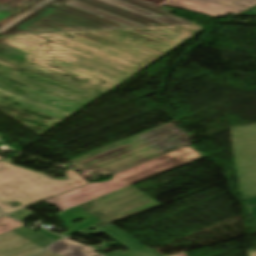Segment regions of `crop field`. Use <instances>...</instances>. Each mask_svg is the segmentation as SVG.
I'll list each match as a JSON object with an SVG mask.
<instances>
[{"label": "crop field", "instance_id": "crop-field-1", "mask_svg": "<svg viewBox=\"0 0 256 256\" xmlns=\"http://www.w3.org/2000/svg\"><path fill=\"white\" fill-rule=\"evenodd\" d=\"M201 30L185 25L0 36L1 65L86 95L0 66V92L16 98L0 95L9 100L0 99V111L41 135Z\"/></svg>", "mask_w": 256, "mask_h": 256}, {"label": "crop field", "instance_id": "crop-field-2", "mask_svg": "<svg viewBox=\"0 0 256 256\" xmlns=\"http://www.w3.org/2000/svg\"><path fill=\"white\" fill-rule=\"evenodd\" d=\"M64 1L65 0L50 1L0 35L127 28L117 23L85 13L73 7L65 6L62 4ZM78 1L100 8L119 17L138 22L148 27L165 26V24L151 20L128 10L114 7L99 0ZM123 1L145 8L163 16H166L172 12V10L163 7L156 10L132 0Z\"/></svg>", "mask_w": 256, "mask_h": 256}, {"label": "crop field", "instance_id": "crop-field-3", "mask_svg": "<svg viewBox=\"0 0 256 256\" xmlns=\"http://www.w3.org/2000/svg\"><path fill=\"white\" fill-rule=\"evenodd\" d=\"M188 144L185 132L174 124H165L105 147L114 155L79 168L85 171L113 173Z\"/></svg>", "mask_w": 256, "mask_h": 256}, {"label": "crop field", "instance_id": "crop-field-4", "mask_svg": "<svg viewBox=\"0 0 256 256\" xmlns=\"http://www.w3.org/2000/svg\"><path fill=\"white\" fill-rule=\"evenodd\" d=\"M68 180H54L44 174L0 162V207L6 213L41 201L87 183L75 170L66 172ZM22 205L11 207L8 202Z\"/></svg>", "mask_w": 256, "mask_h": 256}, {"label": "crop field", "instance_id": "crop-field-5", "mask_svg": "<svg viewBox=\"0 0 256 256\" xmlns=\"http://www.w3.org/2000/svg\"><path fill=\"white\" fill-rule=\"evenodd\" d=\"M200 157H203V155L199 154L190 146H188L134 168L114 174V179L112 181L105 183L93 182L43 202L50 205H55L61 211H63L81 203L130 186Z\"/></svg>", "mask_w": 256, "mask_h": 256}, {"label": "crop field", "instance_id": "crop-field-6", "mask_svg": "<svg viewBox=\"0 0 256 256\" xmlns=\"http://www.w3.org/2000/svg\"><path fill=\"white\" fill-rule=\"evenodd\" d=\"M143 194L130 186L56 214L67 227L66 232L61 235L69 236L90 225L98 229L109 223L159 206ZM81 218H84L85 221L74 225L70 224L72 220Z\"/></svg>", "mask_w": 256, "mask_h": 256}, {"label": "crop field", "instance_id": "crop-field-7", "mask_svg": "<svg viewBox=\"0 0 256 256\" xmlns=\"http://www.w3.org/2000/svg\"><path fill=\"white\" fill-rule=\"evenodd\" d=\"M239 195H256V124L230 127Z\"/></svg>", "mask_w": 256, "mask_h": 256}, {"label": "crop field", "instance_id": "crop-field-8", "mask_svg": "<svg viewBox=\"0 0 256 256\" xmlns=\"http://www.w3.org/2000/svg\"><path fill=\"white\" fill-rule=\"evenodd\" d=\"M165 5L219 17L238 13L256 4V0H168Z\"/></svg>", "mask_w": 256, "mask_h": 256}, {"label": "crop field", "instance_id": "crop-field-9", "mask_svg": "<svg viewBox=\"0 0 256 256\" xmlns=\"http://www.w3.org/2000/svg\"><path fill=\"white\" fill-rule=\"evenodd\" d=\"M41 250L12 231L0 235V256H28Z\"/></svg>", "mask_w": 256, "mask_h": 256}, {"label": "crop field", "instance_id": "crop-field-10", "mask_svg": "<svg viewBox=\"0 0 256 256\" xmlns=\"http://www.w3.org/2000/svg\"><path fill=\"white\" fill-rule=\"evenodd\" d=\"M43 0H0V28Z\"/></svg>", "mask_w": 256, "mask_h": 256}, {"label": "crop field", "instance_id": "crop-field-11", "mask_svg": "<svg viewBox=\"0 0 256 256\" xmlns=\"http://www.w3.org/2000/svg\"><path fill=\"white\" fill-rule=\"evenodd\" d=\"M46 250L63 256H101L100 254L94 252L95 249L70 241L69 238L51 245ZM59 251H61V253H58Z\"/></svg>", "mask_w": 256, "mask_h": 256}, {"label": "crop field", "instance_id": "crop-field-12", "mask_svg": "<svg viewBox=\"0 0 256 256\" xmlns=\"http://www.w3.org/2000/svg\"><path fill=\"white\" fill-rule=\"evenodd\" d=\"M101 1L107 2V3L112 4L114 6H118V7L128 9L130 11L136 12L138 14L144 15L146 17L152 18L154 20H157L159 22L166 23V24H169V25L195 24V23L189 22L187 20L181 19L179 17L173 16L171 14H169L166 17H163V16L158 17V16L154 15L155 13H153V12L147 11L145 9L139 8L137 6L128 4V3L120 1V0H101Z\"/></svg>", "mask_w": 256, "mask_h": 256}, {"label": "crop field", "instance_id": "crop-field-13", "mask_svg": "<svg viewBox=\"0 0 256 256\" xmlns=\"http://www.w3.org/2000/svg\"><path fill=\"white\" fill-rule=\"evenodd\" d=\"M63 4L73 6V7H75V8L80 9V10H83V11H85V12H88V13H91V14H94V15H97V16H100V17H102V18H105V19H108V20H111V21L120 23V24L125 25V26H128V27H130V28L146 27V26L140 25V24H138V23H135V22H132V21H128V20L119 18V17L114 16V15H112V14H109V13H107V12H105V11H102V10H100V9L91 7V6H89V5H86V4L77 2V1H75V0H67V1H65Z\"/></svg>", "mask_w": 256, "mask_h": 256}, {"label": "crop field", "instance_id": "crop-field-14", "mask_svg": "<svg viewBox=\"0 0 256 256\" xmlns=\"http://www.w3.org/2000/svg\"><path fill=\"white\" fill-rule=\"evenodd\" d=\"M109 155H112L110 152H108L106 149L102 148V149H98L96 151L90 152L88 154H85L83 156H80L78 158L72 159L70 160V162L76 166H82L84 164L93 162L95 160L107 157Z\"/></svg>", "mask_w": 256, "mask_h": 256}, {"label": "crop field", "instance_id": "crop-field-15", "mask_svg": "<svg viewBox=\"0 0 256 256\" xmlns=\"http://www.w3.org/2000/svg\"><path fill=\"white\" fill-rule=\"evenodd\" d=\"M25 225L17 220L9 218L7 216L0 218V234L9 230H13L19 226Z\"/></svg>", "mask_w": 256, "mask_h": 256}, {"label": "crop field", "instance_id": "crop-field-16", "mask_svg": "<svg viewBox=\"0 0 256 256\" xmlns=\"http://www.w3.org/2000/svg\"><path fill=\"white\" fill-rule=\"evenodd\" d=\"M50 0H44L43 2H41L40 4H38L37 6H35L34 8L30 9L29 11H27L26 13H24L23 15H21L20 17H18L17 19L13 20L12 22H10L9 24H7L5 27H3L2 29H0V33H2L4 30H6L7 28H9L10 26H12L13 24L17 23L18 21H20L21 19H23L24 17H26L27 15H29L30 13H32L33 11L37 10L38 8H40L41 6H43L44 4H46L47 2H49Z\"/></svg>", "mask_w": 256, "mask_h": 256}, {"label": "crop field", "instance_id": "crop-field-17", "mask_svg": "<svg viewBox=\"0 0 256 256\" xmlns=\"http://www.w3.org/2000/svg\"><path fill=\"white\" fill-rule=\"evenodd\" d=\"M32 214H34V213H32L26 209H23V210L15 212V213L9 214V216L21 220V219H24V218L32 215Z\"/></svg>", "mask_w": 256, "mask_h": 256}, {"label": "crop field", "instance_id": "crop-field-18", "mask_svg": "<svg viewBox=\"0 0 256 256\" xmlns=\"http://www.w3.org/2000/svg\"><path fill=\"white\" fill-rule=\"evenodd\" d=\"M93 227L92 226H90V227H88V228H86V229H84V230H82V231H80V232H78V233H81V234H83V235H85V236H87L88 234H100L101 232L100 231H98V230H96L95 228V231L94 232H88V230L89 229H92Z\"/></svg>", "mask_w": 256, "mask_h": 256}, {"label": "crop field", "instance_id": "crop-field-19", "mask_svg": "<svg viewBox=\"0 0 256 256\" xmlns=\"http://www.w3.org/2000/svg\"><path fill=\"white\" fill-rule=\"evenodd\" d=\"M244 199L246 200L248 206L256 205V196L255 197H247Z\"/></svg>", "mask_w": 256, "mask_h": 256}, {"label": "crop field", "instance_id": "crop-field-20", "mask_svg": "<svg viewBox=\"0 0 256 256\" xmlns=\"http://www.w3.org/2000/svg\"><path fill=\"white\" fill-rule=\"evenodd\" d=\"M248 208H249L250 214L252 215V217L256 221V206H252V207H248Z\"/></svg>", "mask_w": 256, "mask_h": 256}, {"label": "crop field", "instance_id": "crop-field-21", "mask_svg": "<svg viewBox=\"0 0 256 256\" xmlns=\"http://www.w3.org/2000/svg\"><path fill=\"white\" fill-rule=\"evenodd\" d=\"M34 256H60V255L45 251V252H42V253L34 255Z\"/></svg>", "mask_w": 256, "mask_h": 256}, {"label": "crop field", "instance_id": "crop-field-22", "mask_svg": "<svg viewBox=\"0 0 256 256\" xmlns=\"http://www.w3.org/2000/svg\"><path fill=\"white\" fill-rule=\"evenodd\" d=\"M242 14H244V15H256V7L251 9V10H249V11H246V12H244Z\"/></svg>", "mask_w": 256, "mask_h": 256}, {"label": "crop field", "instance_id": "crop-field-23", "mask_svg": "<svg viewBox=\"0 0 256 256\" xmlns=\"http://www.w3.org/2000/svg\"><path fill=\"white\" fill-rule=\"evenodd\" d=\"M145 1H148L150 3H153V4L157 5V4H159V3H161V2H163L165 0H145Z\"/></svg>", "mask_w": 256, "mask_h": 256}, {"label": "crop field", "instance_id": "crop-field-24", "mask_svg": "<svg viewBox=\"0 0 256 256\" xmlns=\"http://www.w3.org/2000/svg\"><path fill=\"white\" fill-rule=\"evenodd\" d=\"M119 253H123V252L122 251H117V252H113V253L107 254L105 256H111V255H115V254H119Z\"/></svg>", "mask_w": 256, "mask_h": 256}, {"label": "crop field", "instance_id": "crop-field-25", "mask_svg": "<svg viewBox=\"0 0 256 256\" xmlns=\"http://www.w3.org/2000/svg\"><path fill=\"white\" fill-rule=\"evenodd\" d=\"M248 256H256V251H250V252H248Z\"/></svg>", "mask_w": 256, "mask_h": 256}, {"label": "crop field", "instance_id": "crop-field-26", "mask_svg": "<svg viewBox=\"0 0 256 256\" xmlns=\"http://www.w3.org/2000/svg\"><path fill=\"white\" fill-rule=\"evenodd\" d=\"M173 256H186V253H180V254H177V255H173Z\"/></svg>", "mask_w": 256, "mask_h": 256}, {"label": "crop field", "instance_id": "crop-field-27", "mask_svg": "<svg viewBox=\"0 0 256 256\" xmlns=\"http://www.w3.org/2000/svg\"><path fill=\"white\" fill-rule=\"evenodd\" d=\"M0 215H3V213L0 212Z\"/></svg>", "mask_w": 256, "mask_h": 256}, {"label": "crop field", "instance_id": "crop-field-28", "mask_svg": "<svg viewBox=\"0 0 256 256\" xmlns=\"http://www.w3.org/2000/svg\"><path fill=\"white\" fill-rule=\"evenodd\" d=\"M0 159H2V157H0Z\"/></svg>", "mask_w": 256, "mask_h": 256}]
</instances>
